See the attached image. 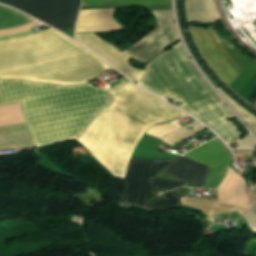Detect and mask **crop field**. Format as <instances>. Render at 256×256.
Wrapping results in <instances>:
<instances>
[{
  "mask_svg": "<svg viewBox=\"0 0 256 256\" xmlns=\"http://www.w3.org/2000/svg\"><path fill=\"white\" fill-rule=\"evenodd\" d=\"M218 202L241 206L237 211L243 215L256 203V195L249 191L245 180L234 170L230 169L227 177L218 189Z\"/></svg>",
  "mask_w": 256,
  "mask_h": 256,
  "instance_id": "crop-field-11",
  "label": "crop field"
},
{
  "mask_svg": "<svg viewBox=\"0 0 256 256\" xmlns=\"http://www.w3.org/2000/svg\"><path fill=\"white\" fill-rule=\"evenodd\" d=\"M171 3V0H83L82 6H100V5H129V4H165Z\"/></svg>",
  "mask_w": 256,
  "mask_h": 256,
  "instance_id": "crop-field-15",
  "label": "crop field"
},
{
  "mask_svg": "<svg viewBox=\"0 0 256 256\" xmlns=\"http://www.w3.org/2000/svg\"><path fill=\"white\" fill-rule=\"evenodd\" d=\"M110 100L107 89L90 84L64 87L0 80V105L21 102L36 147L79 137Z\"/></svg>",
  "mask_w": 256,
  "mask_h": 256,
  "instance_id": "crop-field-1",
  "label": "crop field"
},
{
  "mask_svg": "<svg viewBox=\"0 0 256 256\" xmlns=\"http://www.w3.org/2000/svg\"><path fill=\"white\" fill-rule=\"evenodd\" d=\"M33 19L0 5V29L13 28Z\"/></svg>",
  "mask_w": 256,
  "mask_h": 256,
  "instance_id": "crop-field-14",
  "label": "crop field"
},
{
  "mask_svg": "<svg viewBox=\"0 0 256 256\" xmlns=\"http://www.w3.org/2000/svg\"><path fill=\"white\" fill-rule=\"evenodd\" d=\"M137 85L162 99L168 96L180 101V109L212 127L227 144L241 136L226 119L234 116L195 69L180 43L150 62L146 77Z\"/></svg>",
  "mask_w": 256,
  "mask_h": 256,
  "instance_id": "crop-field-4",
  "label": "crop field"
},
{
  "mask_svg": "<svg viewBox=\"0 0 256 256\" xmlns=\"http://www.w3.org/2000/svg\"><path fill=\"white\" fill-rule=\"evenodd\" d=\"M180 128L182 127L173 121L159 126H152L148 129L147 134L161 139Z\"/></svg>",
  "mask_w": 256,
  "mask_h": 256,
  "instance_id": "crop-field-18",
  "label": "crop field"
},
{
  "mask_svg": "<svg viewBox=\"0 0 256 256\" xmlns=\"http://www.w3.org/2000/svg\"><path fill=\"white\" fill-rule=\"evenodd\" d=\"M60 31L74 29L80 0H0Z\"/></svg>",
  "mask_w": 256,
  "mask_h": 256,
  "instance_id": "crop-field-8",
  "label": "crop field"
},
{
  "mask_svg": "<svg viewBox=\"0 0 256 256\" xmlns=\"http://www.w3.org/2000/svg\"><path fill=\"white\" fill-rule=\"evenodd\" d=\"M25 123L20 103L0 106V126ZM33 142L26 124L0 127V147ZM34 144H23L2 147L0 151L33 147Z\"/></svg>",
  "mask_w": 256,
  "mask_h": 256,
  "instance_id": "crop-field-10",
  "label": "crop field"
},
{
  "mask_svg": "<svg viewBox=\"0 0 256 256\" xmlns=\"http://www.w3.org/2000/svg\"><path fill=\"white\" fill-rule=\"evenodd\" d=\"M253 150L249 149H238L234 151V154L236 157L244 158V155H250L253 154Z\"/></svg>",
  "mask_w": 256,
  "mask_h": 256,
  "instance_id": "crop-field-21",
  "label": "crop field"
},
{
  "mask_svg": "<svg viewBox=\"0 0 256 256\" xmlns=\"http://www.w3.org/2000/svg\"><path fill=\"white\" fill-rule=\"evenodd\" d=\"M252 231H256V204L251 211L244 215Z\"/></svg>",
  "mask_w": 256,
  "mask_h": 256,
  "instance_id": "crop-field-20",
  "label": "crop field"
},
{
  "mask_svg": "<svg viewBox=\"0 0 256 256\" xmlns=\"http://www.w3.org/2000/svg\"><path fill=\"white\" fill-rule=\"evenodd\" d=\"M184 155L199 163L210 165L212 168L179 156L162 171L201 188L205 185L210 168L211 171L204 188L216 189L228 170L226 167L231 165L229 152L217 139Z\"/></svg>",
  "mask_w": 256,
  "mask_h": 256,
  "instance_id": "crop-field-7",
  "label": "crop field"
},
{
  "mask_svg": "<svg viewBox=\"0 0 256 256\" xmlns=\"http://www.w3.org/2000/svg\"><path fill=\"white\" fill-rule=\"evenodd\" d=\"M151 12L159 27L122 52L116 46L101 40L94 34L76 35V40L100 53L117 70L129 76L134 82L138 81L145 71L130 67L128 65L130 57L147 63L178 39L171 10Z\"/></svg>",
  "mask_w": 256,
  "mask_h": 256,
  "instance_id": "crop-field-5",
  "label": "crop field"
},
{
  "mask_svg": "<svg viewBox=\"0 0 256 256\" xmlns=\"http://www.w3.org/2000/svg\"><path fill=\"white\" fill-rule=\"evenodd\" d=\"M112 103L77 140L113 176L124 178L132 152L151 126L187 116L127 79L109 90Z\"/></svg>",
  "mask_w": 256,
  "mask_h": 256,
  "instance_id": "crop-field-2",
  "label": "crop field"
},
{
  "mask_svg": "<svg viewBox=\"0 0 256 256\" xmlns=\"http://www.w3.org/2000/svg\"><path fill=\"white\" fill-rule=\"evenodd\" d=\"M201 53L214 71L229 85L241 72L230 58L214 31L189 26ZM256 108V85L244 98Z\"/></svg>",
  "mask_w": 256,
  "mask_h": 256,
  "instance_id": "crop-field-9",
  "label": "crop field"
},
{
  "mask_svg": "<svg viewBox=\"0 0 256 256\" xmlns=\"http://www.w3.org/2000/svg\"><path fill=\"white\" fill-rule=\"evenodd\" d=\"M219 91L226 98V100L231 104V106L238 112V114L252 129V131L256 134V117L250 114L248 111H246L243 107H241L238 103H236L233 99H231L228 95H226L221 89H219Z\"/></svg>",
  "mask_w": 256,
  "mask_h": 256,
  "instance_id": "crop-field-17",
  "label": "crop field"
},
{
  "mask_svg": "<svg viewBox=\"0 0 256 256\" xmlns=\"http://www.w3.org/2000/svg\"><path fill=\"white\" fill-rule=\"evenodd\" d=\"M95 53L48 28L0 42V78L43 83H86L109 69Z\"/></svg>",
  "mask_w": 256,
  "mask_h": 256,
  "instance_id": "crop-field-3",
  "label": "crop field"
},
{
  "mask_svg": "<svg viewBox=\"0 0 256 256\" xmlns=\"http://www.w3.org/2000/svg\"><path fill=\"white\" fill-rule=\"evenodd\" d=\"M170 161L131 158L124 182V193L118 205L125 207L138 206L152 211L168 209L180 205V195L173 191L162 194V198L152 204L146 200L150 194L160 188L166 191L178 186H186L185 183L153 178Z\"/></svg>",
  "mask_w": 256,
  "mask_h": 256,
  "instance_id": "crop-field-6",
  "label": "crop field"
},
{
  "mask_svg": "<svg viewBox=\"0 0 256 256\" xmlns=\"http://www.w3.org/2000/svg\"><path fill=\"white\" fill-rule=\"evenodd\" d=\"M197 125H200V124L195 121V122L185 126L184 128L172 133L171 135L161 139V140H163L164 142H166L167 144L172 146V145H174V144H176V143L194 135L198 131L206 128V127L200 125V126L196 127L195 129L190 130V131H187V129H186L189 126H197Z\"/></svg>",
  "mask_w": 256,
  "mask_h": 256,
  "instance_id": "crop-field-16",
  "label": "crop field"
},
{
  "mask_svg": "<svg viewBox=\"0 0 256 256\" xmlns=\"http://www.w3.org/2000/svg\"><path fill=\"white\" fill-rule=\"evenodd\" d=\"M113 9L81 10L76 33L118 31L122 27L112 18Z\"/></svg>",
  "mask_w": 256,
  "mask_h": 256,
  "instance_id": "crop-field-12",
  "label": "crop field"
},
{
  "mask_svg": "<svg viewBox=\"0 0 256 256\" xmlns=\"http://www.w3.org/2000/svg\"><path fill=\"white\" fill-rule=\"evenodd\" d=\"M188 21H209L219 17L212 0H186Z\"/></svg>",
  "mask_w": 256,
  "mask_h": 256,
  "instance_id": "crop-field-13",
  "label": "crop field"
},
{
  "mask_svg": "<svg viewBox=\"0 0 256 256\" xmlns=\"http://www.w3.org/2000/svg\"><path fill=\"white\" fill-rule=\"evenodd\" d=\"M39 24H41V23L34 20L30 23H27L25 25L19 26V27L14 28V29L2 30V31H0V36L8 35V34L16 33V32L26 31V30H29V29H31V28L39 25Z\"/></svg>",
  "mask_w": 256,
  "mask_h": 256,
  "instance_id": "crop-field-19",
  "label": "crop field"
}]
</instances>
